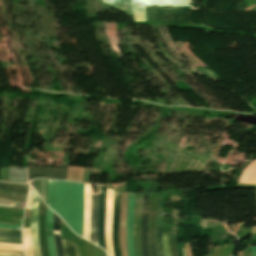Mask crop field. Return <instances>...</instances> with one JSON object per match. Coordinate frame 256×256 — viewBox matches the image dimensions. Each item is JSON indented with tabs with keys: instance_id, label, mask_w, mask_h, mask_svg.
<instances>
[{
	"instance_id": "1",
	"label": "crop field",
	"mask_w": 256,
	"mask_h": 256,
	"mask_svg": "<svg viewBox=\"0 0 256 256\" xmlns=\"http://www.w3.org/2000/svg\"><path fill=\"white\" fill-rule=\"evenodd\" d=\"M83 188L84 184L58 180H48L47 185V205L80 236L83 225Z\"/></svg>"
},
{
	"instance_id": "2",
	"label": "crop field",
	"mask_w": 256,
	"mask_h": 256,
	"mask_svg": "<svg viewBox=\"0 0 256 256\" xmlns=\"http://www.w3.org/2000/svg\"><path fill=\"white\" fill-rule=\"evenodd\" d=\"M101 3L132 14L134 21H146V6H190L191 0H101Z\"/></svg>"
},
{
	"instance_id": "3",
	"label": "crop field",
	"mask_w": 256,
	"mask_h": 256,
	"mask_svg": "<svg viewBox=\"0 0 256 256\" xmlns=\"http://www.w3.org/2000/svg\"><path fill=\"white\" fill-rule=\"evenodd\" d=\"M67 167L63 168H45V167H28V181L33 178H54L63 179L66 177Z\"/></svg>"
},
{
	"instance_id": "4",
	"label": "crop field",
	"mask_w": 256,
	"mask_h": 256,
	"mask_svg": "<svg viewBox=\"0 0 256 256\" xmlns=\"http://www.w3.org/2000/svg\"><path fill=\"white\" fill-rule=\"evenodd\" d=\"M119 210H120V192H114L113 200V218H112V243L115 256H121L119 250L118 242V220H119Z\"/></svg>"
},
{
	"instance_id": "5",
	"label": "crop field",
	"mask_w": 256,
	"mask_h": 256,
	"mask_svg": "<svg viewBox=\"0 0 256 256\" xmlns=\"http://www.w3.org/2000/svg\"><path fill=\"white\" fill-rule=\"evenodd\" d=\"M149 217V194H144L143 213L141 217V250L142 256H149L147 249V221Z\"/></svg>"
},
{
	"instance_id": "6",
	"label": "crop field",
	"mask_w": 256,
	"mask_h": 256,
	"mask_svg": "<svg viewBox=\"0 0 256 256\" xmlns=\"http://www.w3.org/2000/svg\"><path fill=\"white\" fill-rule=\"evenodd\" d=\"M134 200L135 193H128V209L126 218V232L129 256H134L133 240H132V220L134 216Z\"/></svg>"
},
{
	"instance_id": "7",
	"label": "crop field",
	"mask_w": 256,
	"mask_h": 256,
	"mask_svg": "<svg viewBox=\"0 0 256 256\" xmlns=\"http://www.w3.org/2000/svg\"><path fill=\"white\" fill-rule=\"evenodd\" d=\"M105 191H106V188L100 186V203H99V219H98V243H99L100 247H103L106 250L105 239H104Z\"/></svg>"
},
{
	"instance_id": "8",
	"label": "crop field",
	"mask_w": 256,
	"mask_h": 256,
	"mask_svg": "<svg viewBox=\"0 0 256 256\" xmlns=\"http://www.w3.org/2000/svg\"><path fill=\"white\" fill-rule=\"evenodd\" d=\"M98 203H99V195H92L90 236H91V242L95 243L96 245H98L97 243Z\"/></svg>"
},
{
	"instance_id": "9",
	"label": "crop field",
	"mask_w": 256,
	"mask_h": 256,
	"mask_svg": "<svg viewBox=\"0 0 256 256\" xmlns=\"http://www.w3.org/2000/svg\"><path fill=\"white\" fill-rule=\"evenodd\" d=\"M52 217L53 212L47 208L46 210V236L48 241L49 253L50 256H56V248L52 231Z\"/></svg>"
},
{
	"instance_id": "10",
	"label": "crop field",
	"mask_w": 256,
	"mask_h": 256,
	"mask_svg": "<svg viewBox=\"0 0 256 256\" xmlns=\"http://www.w3.org/2000/svg\"><path fill=\"white\" fill-rule=\"evenodd\" d=\"M156 211H150L148 222V248L150 256H157L154 243Z\"/></svg>"
},
{
	"instance_id": "11",
	"label": "crop field",
	"mask_w": 256,
	"mask_h": 256,
	"mask_svg": "<svg viewBox=\"0 0 256 256\" xmlns=\"http://www.w3.org/2000/svg\"><path fill=\"white\" fill-rule=\"evenodd\" d=\"M53 231H54V237L56 242V248H57V256H64L63 247L60 240V223L61 219L54 214L53 217Z\"/></svg>"
},
{
	"instance_id": "12",
	"label": "crop field",
	"mask_w": 256,
	"mask_h": 256,
	"mask_svg": "<svg viewBox=\"0 0 256 256\" xmlns=\"http://www.w3.org/2000/svg\"><path fill=\"white\" fill-rule=\"evenodd\" d=\"M26 168L10 166L9 182H25Z\"/></svg>"
},
{
	"instance_id": "13",
	"label": "crop field",
	"mask_w": 256,
	"mask_h": 256,
	"mask_svg": "<svg viewBox=\"0 0 256 256\" xmlns=\"http://www.w3.org/2000/svg\"><path fill=\"white\" fill-rule=\"evenodd\" d=\"M0 190L7 191V192H13V193L27 194L28 185L27 184L0 183Z\"/></svg>"
},
{
	"instance_id": "14",
	"label": "crop field",
	"mask_w": 256,
	"mask_h": 256,
	"mask_svg": "<svg viewBox=\"0 0 256 256\" xmlns=\"http://www.w3.org/2000/svg\"><path fill=\"white\" fill-rule=\"evenodd\" d=\"M62 243H63L66 256H78L75 244L64 239H62Z\"/></svg>"
},
{
	"instance_id": "15",
	"label": "crop field",
	"mask_w": 256,
	"mask_h": 256,
	"mask_svg": "<svg viewBox=\"0 0 256 256\" xmlns=\"http://www.w3.org/2000/svg\"><path fill=\"white\" fill-rule=\"evenodd\" d=\"M26 197L24 195H18V194H12V193H6V192H0V199L3 200H11V201H26Z\"/></svg>"
},
{
	"instance_id": "16",
	"label": "crop field",
	"mask_w": 256,
	"mask_h": 256,
	"mask_svg": "<svg viewBox=\"0 0 256 256\" xmlns=\"http://www.w3.org/2000/svg\"><path fill=\"white\" fill-rule=\"evenodd\" d=\"M161 225H157L156 224V237H155V241H156V247H157V253L158 256H164L163 255V251H162V247H161Z\"/></svg>"
},
{
	"instance_id": "17",
	"label": "crop field",
	"mask_w": 256,
	"mask_h": 256,
	"mask_svg": "<svg viewBox=\"0 0 256 256\" xmlns=\"http://www.w3.org/2000/svg\"><path fill=\"white\" fill-rule=\"evenodd\" d=\"M168 237H169V233H162V246H163L165 256H171Z\"/></svg>"
},
{
	"instance_id": "18",
	"label": "crop field",
	"mask_w": 256,
	"mask_h": 256,
	"mask_svg": "<svg viewBox=\"0 0 256 256\" xmlns=\"http://www.w3.org/2000/svg\"><path fill=\"white\" fill-rule=\"evenodd\" d=\"M46 185H47V180L40 179V196L45 203H46Z\"/></svg>"
},
{
	"instance_id": "19",
	"label": "crop field",
	"mask_w": 256,
	"mask_h": 256,
	"mask_svg": "<svg viewBox=\"0 0 256 256\" xmlns=\"http://www.w3.org/2000/svg\"><path fill=\"white\" fill-rule=\"evenodd\" d=\"M0 242L22 244L21 238L0 237Z\"/></svg>"
},
{
	"instance_id": "20",
	"label": "crop field",
	"mask_w": 256,
	"mask_h": 256,
	"mask_svg": "<svg viewBox=\"0 0 256 256\" xmlns=\"http://www.w3.org/2000/svg\"><path fill=\"white\" fill-rule=\"evenodd\" d=\"M0 256H24V254L18 251H0Z\"/></svg>"
},
{
	"instance_id": "21",
	"label": "crop field",
	"mask_w": 256,
	"mask_h": 256,
	"mask_svg": "<svg viewBox=\"0 0 256 256\" xmlns=\"http://www.w3.org/2000/svg\"><path fill=\"white\" fill-rule=\"evenodd\" d=\"M0 203H2V204H10V205H19V204H18V203H16V202L3 201V200H0ZM2 204H0V206L24 209L22 206H10V205H2Z\"/></svg>"
},
{
	"instance_id": "22",
	"label": "crop field",
	"mask_w": 256,
	"mask_h": 256,
	"mask_svg": "<svg viewBox=\"0 0 256 256\" xmlns=\"http://www.w3.org/2000/svg\"><path fill=\"white\" fill-rule=\"evenodd\" d=\"M0 228L21 230V226L11 225L6 223H0Z\"/></svg>"
},
{
	"instance_id": "23",
	"label": "crop field",
	"mask_w": 256,
	"mask_h": 256,
	"mask_svg": "<svg viewBox=\"0 0 256 256\" xmlns=\"http://www.w3.org/2000/svg\"><path fill=\"white\" fill-rule=\"evenodd\" d=\"M2 231H10V232H18V231H12V230H4V229H0ZM0 231V234H5V235H14V236H19L21 237V234H18V233H21V232H18V233H10V232H2ZM5 235H0V236H5ZM14 236H11V237H14Z\"/></svg>"
},
{
	"instance_id": "24",
	"label": "crop field",
	"mask_w": 256,
	"mask_h": 256,
	"mask_svg": "<svg viewBox=\"0 0 256 256\" xmlns=\"http://www.w3.org/2000/svg\"><path fill=\"white\" fill-rule=\"evenodd\" d=\"M252 256H256V247H251Z\"/></svg>"
}]
</instances>
